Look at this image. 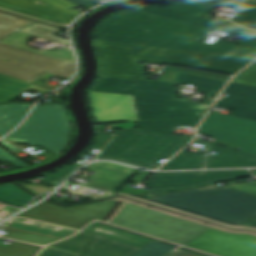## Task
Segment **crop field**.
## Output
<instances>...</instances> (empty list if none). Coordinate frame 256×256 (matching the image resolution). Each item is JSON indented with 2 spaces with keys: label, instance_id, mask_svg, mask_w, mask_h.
Listing matches in <instances>:
<instances>
[{
  "label": "crop field",
  "instance_id": "8a807250",
  "mask_svg": "<svg viewBox=\"0 0 256 256\" xmlns=\"http://www.w3.org/2000/svg\"><path fill=\"white\" fill-rule=\"evenodd\" d=\"M209 28L187 24L139 11L116 14L95 30L96 40L256 58V41L243 38L237 45L215 41L200 42Z\"/></svg>",
  "mask_w": 256,
  "mask_h": 256
},
{
  "label": "crop field",
  "instance_id": "ac0d7876",
  "mask_svg": "<svg viewBox=\"0 0 256 256\" xmlns=\"http://www.w3.org/2000/svg\"><path fill=\"white\" fill-rule=\"evenodd\" d=\"M175 84L102 77L90 91L133 95L139 120L204 116L209 106L173 100Z\"/></svg>",
  "mask_w": 256,
  "mask_h": 256
},
{
  "label": "crop field",
  "instance_id": "34b2d1b8",
  "mask_svg": "<svg viewBox=\"0 0 256 256\" xmlns=\"http://www.w3.org/2000/svg\"><path fill=\"white\" fill-rule=\"evenodd\" d=\"M148 199L232 224L256 216V196L225 186L212 185Z\"/></svg>",
  "mask_w": 256,
  "mask_h": 256
},
{
  "label": "crop field",
  "instance_id": "412701ff",
  "mask_svg": "<svg viewBox=\"0 0 256 256\" xmlns=\"http://www.w3.org/2000/svg\"><path fill=\"white\" fill-rule=\"evenodd\" d=\"M192 138L141 132L128 129L116 134L114 140L99 154L98 158L121 161L156 168L161 158H169L190 142Z\"/></svg>",
  "mask_w": 256,
  "mask_h": 256
},
{
  "label": "crop field",
  "instance_id": "f4fd0767",
  "mask_svg": "<svg viewBox=\"0 0 256 256\" xmlns=\"http://www.w3.org/2000/svg\"><path fill=\"white\" fill-rule=\"evenodd\" d=\"M220 5L229 6L236 10L237 16L233 18L232 21L239 25L256 29V2L251 0H211L204 3H185L139 8L136 10L221 31L256 38V31L244 29L227 20L219 23L201 18L208 11Z\"/></svg>",
  "mask_w": 256,
  "mask_h": 256
},
{
  "label": "crop field",
  "instance_id": "dd49c442",
  "mask_svg": "<svg viewBox=\"0 0 256 256\" xmlns=\"http://www.w3.org/2000/svg\"><path fill=\"white\" fill-rule=\"evenodd\" d=\"M110 223L154 235L182 245L210 228L129 203L123 207Z\"/></svg>",
  "mask_w": 256,
  "mask_h": 256
},
{
  "label": "crop field",
  "instance_id": "e52e79f7",
  "mask_svg": "<svg viewBox=\"0 0 256 256\" xmlns=\"http://www.w3.org/2000/svg\"><path fill=\"white\" fill-rule=\"evenodd\" d=\"M70 123L63 106L35 107L30 118L5 138L25 145H41L60 153L67 145Z\"/></svg>",
  "mask_w": 256,
  "mask_h": 256
},
{
  "label": "crop field",
  "instance_id": "d8731c3e",
  "mask_svg": "<svg viewBox=\"0 0 256 256\" xmlns=\"http://www.w3.org/2000/svg\"><path fill=\"white\" fill-rule=\"evenodd\" d=\"M75 64L0 44V74L34 82L49 73L71 78Z\"/></svg>",
  "mask_w": 256,
  "mask_h": 256
},
{
  "label": "crop field",
  "instance_id": "5a996713",
  "mask_svg": "<svg viewBox=\"0 0 256 256\" xmlns=\"http://www.w3.org/2000/svg\"><path fill=\"white\" fill-rule=\"evenodd\" d=\"M101 58L174 65L179 57L246 66L253 60L96 41Z\"/></svg>",
  "mask_w": 256,
  "mask_h": 256
},
{
  "label": "crop field",
  "instance_id": "3316defc",
  "mask_svg": "<svg viewBox=\"0 0 256 256\" xmlns=\"http://www.w3.org/2000/svg\"><path fill=\"white\" fill-rule=\"evenodd\" d=\"M116 201L113 199L70 208L43 202L20 216L80 230L93 219L102 221Z\"/></svg>",
  "mask_w": 256,
  "mask_h": 256
},
{
  "label": "crop field",
  "instance_id": "28ad6ade",
  "mask_svg": "<svg viewBox=\"0 0 256 256\" xmlns=\"http://www.w3.org/2000/svg\"><path fill=\"white\" fill-rule=\"evenodd\" d=\"M198 133L241 146L240 152L256 156V121L210 112Z\"/></svg>",
  "mask_w": 256,
  "mask_h": 256
},
{
  "label": "crop field",
  "instance_id": "d1516ede",
  "mask_svg": "<svg viewBox=\"0 0 256 256\" xmlns=\"http://www.w3.org/2000/svg\"><path fill=\"white\" fill-rule=\"evenodd\" d=\"M248 170L155 173L147 182L148 196L250 177Z\"/></svg>",
  "mask_w": 256,
  "mask_h": 256
},
{
  "label": "crop field",
  "instance_id": "22f410ed",
  "mask_svg": "<svg viewBox=\"0 0 256 256\" xmlns=\"http://www.w3.org/2000/svg\"><path fill=\"white\" fill-rule=\"evenodd\" d=\"M185 246L217 256H256V237L209 229Z\"/></svg>",
  "mask_w": 256,
  "mask_h": 256
},
{
  "label": "crop field",
  "instance_id": "cbeb9de0",
  "mask_svg": "<svg viewBox=\"0 0 256 256\" xmlns=\"http://www.w3.org/2000/svg\"><path fill=\"white\" fill-rule=\"evenodd\" d=\"M97 124L138 121L132 96L89 92Z\"/></svg>",
  "mask_w": 256,
  "mask_h": 256
},
{
  "label": "crop field",
  "instance_id": "5142ce71",
  "mask_svg": "<svg viewBox=\"0 0 256 256\" xmlns=\"http://www.w3.org/2000/svg\"><path fill=\"white\" fill-rule=\"evenodd\" d=\"M41 0H0V8L37 17L46 21L70 24L77 15L47 4Z\"/></svg>",
  "mask_w": 256,
  "mask_h": 256
},
{
  "label": "crop field",
  "instance_id": "d9b57169",
  "mask_svg": "<svg viewBox=\"0 0 256 256\" xmlns=\"http://www.w3.org/2000/svg\"><path fill=\"white\" fill-rule=\"evenodd\" d=\"M223 93L230 96L218 100L216 107L235 110L233 115L256 120V88L230 83Z\"/></svg>",
  "mask_w": 256,
  "mask_h": 256
},
{
  "label": "crop field",
  "instance_id": "733c2abd",
  "mask_svg": "<svg viewBox=\"0 0 256 256\" xmlns=\"http://www.w3.org/2000/svg\"><path fill=\"white\" fill-rule=\"evenodd\" d=\"M194 142L206 145L205 148L207 149L217 151L216 155L207 156L206 168L256 166V158L240 154L228 148L219 147L198 138Z\"/></svg>",
  "mask_w": 256,
  "mask_h": 256
},
{
  "label": "crop field",
  "instance_id": "4a817a6b",
  "mask_svg": "<svg viewBox=\"0 0 256 256\" xmlns=\"http://www.w3.org/2000/svg\"><path fill=\"white\" fill-rule=\"evenodd\" d=\"M87 169L98 171L93 177L89 179L90 181L118 187H121L128 178L139 171L138 169L109 162L92 164L89 165Z\"/></svg>",
  "mask_w": 256,
  "mask_h": 256
},
{
  "label": "crop field",
  "instance_id": "bc2a9ffb",
  "mask_svg": "<svg viewBox=\"0 0 256 256\" xmlns=\"http://www.w3.org/2000/svg\"><path fill=\"white\" fill-rule=\"evenodd\" d=\"M100 76L146 80L144 64L100 59Z\"/></svg>",
  "mask_w": 256,
  "mask_h": 256
},
{
  "label": "crop field",
  "instance_id": "214f88e0",
  "mask_svg": "<svg viewBox=\"0 0 256 256\" xmlns=\"http://www.w3.org/2000/svg\"><path fill=\"white\" fill-rule=\"evenodd\" d=\"M137 248L95 236L85 256H131Z\"/></svg>",
  "mask_w": 256,
  "mask_h": 256
},
{
  "label": "crop field",
  "instance_id": "92a150f3",
  "mask_svg": "<svg viewBox=\"0 0 256 256\" xmlns=\"http://www.w3.org/2000/svg\"><path fill=\"white\" fill-rule=\"evenodd\" d=\"M202 117L140 121L142 131L173 134L181 126L197 127Z\"/></svg>",
  "mask_w": 256,
  "mask_h": 256
},
{
  "label": "crop field",
  "instance_id": "dafd665d",
  "mask_svg": "<svg viewBox=\"0 0 256 256\" xmlns=\"http://www.w3.org/2000/svg\"><path fill=\"white\" fill-rule=\"evenodd\" d=\"M28 89H34L46 94L51 92V90L0 75V103L16 100L21 91Z\"/></svg>",
  "mask_w": 256,
  "mask_h": 256
},
{
  "label": "crop field",
  "instance_id": "00972430",
  "mask_svg": "<svg viewBox=\"0 0 256 256\" xmlns=\"http://www.w3.org/2000/svg\"><path fill=\"white\" fill-rule=\"evenodd\" d=\"M29 106L19 103L0 106V137L13 129L25 117Z\"/></svg>",
  "mask_w": 256,
  "mask_h": 256
},
{
  "label": "crop field",
  "instance_id": "a9b5d70f",
  "mask_svg": "<svg viewBox=\"0 0 256 256\" xmlns=\"http://www.w3.org/2000/svg\"><path fill=\"white\" fill-rule=\"evenodd\" d=\"M109 231L111 233H108ZM91 232L96 233V235L98 236L105 237L137 248L145 246L152 240L103 225L99 226Z\"/></svg>",
  "mask_w": 256,
  "mask_h": 256
},
{
  "label": "crop field",
  "instance_id": "4177f3b9",
  "mask_svg": "<svg viewBox=\"0 0 256 256\" xmlns=\"http://www.w3.org/2000/svg\"><path fill=\"white\" fill-rule=\"evenodd\" d=\"M175 65L207 70L212 72H218V73H224V74H230V75H234L240 69L244 68L242 66H235V65H228V64L179 58V57H175Z\"/></svg>",
  "mask_w": 256,
  "mask_h": 256
},
{
  "label": "crop field",
  "instance_id": "730fd06b",
  "mask_svg": "<svg viewBox=\"0 0 256 256\" xmlns=\"http://www.w3.org/2000/svg\"><path fill=\"white\" fill-rule=\"evenodd\" d=\"M178 83L190 84L198 88V90L208 92L207 97L215 98L217 93L226 83L225 81H219L214 79H208L198 76H192L187 74H181L176 72Z\"/></svg>",
  "mask_w": 256,
  "mask_h": 256
},
{
  "label": "crop field",
  "instance_id": "eef30255",
  "mask_svg": "<svg viewBox=\"0 0 256 256\" xmlns=\"http://www.w3.org/2000/svg\"><path fill=\"white\" fill-rule=\"evenodd\" d=\"M93 237L94 235L81 231L78 235L72 238L47 247L70 253L75 256H82L85 253L87 244L91 242Z\"/></svg>",
  "mask_w": 256,
  "mask_h": 256
},
{
  "label": "crop field",
  "instance_id": "ae1a2a85",
  "mask_svg": "<svg viewBox=\"0 0 256 256\" xmlns=\"http://www.w3.org/2000/svg\"><path fill=\"white\" fill-rule=\"evenodd\" d=\"M31 37V35H27L24 33H16L9 38L1 41L0 43L8 44L11 46L19 47L22 49L30 50L33 52L41 53L44 55L52 56L55 58L63 59L66 61L74 62L73 54L72 51L68 48H66L64 51H56V52H51V51H41V50H36L29 48L26 44L27 39ZM75 63V62H74Z\"/></svg>",
  "mask_w": 256,
  "mask_h": 256
},
{
  "label": "crop field",
  "instance_id": "d3111659",
  "mask_svg": "<svg viewBox=\"0 0 256 256\" xmlns=\"http://www.w3.org/2000/svg\"><path fill=\"white\" fill-rule=\"evenodd\" d=\"M203 159V154L182 151L160 170L202 169Z\"/></svg>",
  "mask_w": 256,
  "mask_h": 256
},
{
  "label": "crop field",
  "instance_id": "750c4746",
  "mask_svg": "<svg viewBox=\"0 0 256 256\" xmlns=\"http://www.w3.org/2000/svg\"><path fill=\"white\" fill-rule=\"evenodd\" d=\"M32 197L25 194L13 185H5L0 187V201L15 206L22 207L30 203Z\"/></svg>",
  "mask_w": 256,
  "mask_h": 256
},
{
  "label": "crop field",
  "instance_id": "bd1437ed",
  "mask_svg": "<svg viewBox=\"0 0 256 256\" xmlns=\"http://www.w3.org/2000/svg\"><path fill=\"white\" fill-rule=\"evenodd\" d=\"M58 30H59V28L35 23V24L21 30L20 32H24L27 34H31V35H34L37 37H41V38H44V39H47L50 41H54V42L69 46L70 44L67 39L60 38V37L53 35Z\"/></svg>",
  "mask_w": 256,
  "mask_h": 256
},
{
  "label": "crop field",
  "instance_id": "1d83c4d3",
  "mask_svg": "<svg viewBox=\"0 0 256 256\" xmlns=\"http://www.w3.org/2000/svg\"><path fill=\"white\" fill-rule=\"evenodd\" d=\"M32 22L33 21L0 13V40Z\"/></svg>",
  "mask_w": 256,
  "mask_h": 256
},
{
  "label": "crop field",
  "instance_id": "120bbe31",
  "mask_svg": "<svg viewBox=\"0 0 256 256\" xmlns=\"http://www.w3.org/2000/svg\"><path fill=\"white\" fill-rule=\"evenodd\" d=\"M42 247L13 241L8 248L0 247V256H36Z\"/></svg>",
  "mask_w": 256,
  "mask_h": 256
},
{
  "label": "crop field",
  "instance_id": "d32e631a",
  "mask_svg": "<svg viewBox=\"0 0 256 256\" xmlns=\"http://www.w3.org/2000/svg\"><path fill=\"white\" fill-rule=\"evenodd\" d=\"M6 232L8 233L4 235V237L18 239V240H25V241H29V242H33L41 245H48L52 242L60 240V239H55L51 237H46V236L37 235V234L28 233V232L19 231V230L10 229V228H7Z\"/></svg>",
  "mask_w": 256,
  "mask_h": 256
},
{
  "label": "crop field",
  "instance_id": "5866460e",
  "mask_svg": "<svg viewBox=\"0 0 256 256\" xmlns=\"http://www.w3.org/2000/svg\"><path fill=\"white\" fill-rule=\"evenodd\" d=\"M174 248L176 247L153 240L145 247L135 252L132 256H165Z\"/></svg>",
  "mask_w": 256,
  "mask_h": 256
},
{
  "label": "crop field",
  "instance_id": "028f5c9d",
  "mask_svg": "<svg viewBox=\"0 0 256 256\" xmlns=\"http://www.w3.org/2000/svg\"><path fill=\"white\" fill-rule=\"evenodd\" d=\"M181 72V73H187L192 75H198L208 78H214L219 80H225L228 81L230 77L227 76H221V75H215V74H209V73H203V72H197V71H191V70H185V69H179V68H173V67H166L164 73L166 75L159 78L158 81H168V82H177L175 72Z\"/></svg>",
  "mask_w": 256,
  "mask_h": 256
},
{
  "label": "crop field",
  "instance_id": "e1f06a70",
  "mask_svg": "<svg viewBox=\"0 0 256 256\" xmlns=\"http://www.w3.org/2000/svg\"><path fill=\"white\" fill-rule=\"evenodd\" d=\"M2 226L11 227V228L24 230V231H28V232H33V233H37V234H42V235H46V236L56 237V238H60V239L71 236L70 234L52 231V230L39 228V227H35V226H30V225H26V224H21V223H17V222H11V223L5 222L2 224Z\"/></svg>",
  "mask_w": 256,
  "mask_h": 256
},
{
  "label": "crop field",
  "instance_id": "0bd39190",
  "mask_svg": "<svg viewBox=\"0 0 256 256\" xmlns=\"http://www.w3.org/2000/svg\"><path fill=\"white\" fill-rule=\"evenodd\" d=\"M231 82L256 87V62L247 67L241 74L232 79Z\"/></svg>",
  "mask_w": 256,
  "mask_h": 256
},
{
  "label": "crop field",
  "instance_id": "b80d0937",
  "mask_svg": "<svg viewBox=\"0 0 256 256\" xmlns=\"http://www.w3.org/2000/svg\"><path fill=\"white\" fill-rule=\"evenodd\" d=\"M79 165H81V164L76 163V164H74L66 169H63L57 173L44 176L45 180H47V181L44 182L43 184L54 187Z\"/></svg>",
  "mask_w": 256,
  "mask_h": 256
},
{
  "label": "crop field",
  "instance_id": "c035e120",
  "mask_svg": "<svg viewBox=\"0 0 256 256\" xmlns=\"http://www.w3.org/2000/svg\"><path fill=\"white\" fill-rule=\"evenodd\" d=\"M43 1H45V2H47V3H50V4H52V5H55V6H57V7H60V8H62V9H65V10H67V11H70V12H72V13H75V14H77V15H79V14L81 13V12H79V11H76V10L72 9V8L75 7L76 5L70 3V2H68V1H66V0H43Z\"/></svg>",
  "mask_w": 256,
  "mask_h": 256
},
{
  "label": "crop field",
  "instance_id": "c21b1889",
  "mask_svg": "<svg viewBox=\"0 0 256 256\" xmlns=\"http://www.w3.org/2000/svg\"><path fill=\"white\" fill-rule=\"evenodd\" d=\"M0 158H2L3 160L9 162L10 164L16 167L27 166L25 163L18 160L17 158H15L14 156H12L11 154H9L8 152H6L1 148H0Z\"/></svg>",
  "mask_w": 256,
  "mask_h": 256
},
{
  "label": "crop field",
  "instance_id": "03da06ac",
  "mask_svg": "<svg viewBox=\"0 0 256 256\" xmlns=\"http://www.w3.org/2000/svg\"><path fill=\"white\" fill-rule=\"evenodd\" d=\"M241 191L256 195V182L232 186Z\"/></svg>",
  "mask_w": 256,
  "mask_h": 256
},
{
  "label": "crop field",
  "instance_id": "b54c1fbb",
  "mask_svg": "<svg viewBox=\"0 0 256 256\" xmlns=\"http://www.w3.org/2000/svg\"><path fill=\"white\" fill-rule=\"evenodd\" d=\"M113 137L111 134H99L98 141L94 146V149L101 150Z\"/></svg>",
  "mask_w": 256,
  "mask_h": 256
},
{
  "label": "crop field",
  "instance_id": "5d738f31",
  "mask_svg": "<svg viewBox=\"0 0 256 256\" xmlns=\"http://www.w3.org/2000/svg\"><path fill=\"white\" fill-rule=\"evenodd\" d=\"M167 256H202V255H198L189 251H185L179 248H176L175 250H173L171 253H169Z\"/></svg>",
  "mask_w": 256,
  "mask_h": 256
},
{
  "label": "crop field",
  "instance_id": "d23c7cc5",
  "mask_svg": "<svg viewBox=\"0 0 256 256\" xmlns=\"http://www.w3.org/2000/svg\"><path fill=\"white\" fill-rule=\"evenodd\" d=\"M39 256H73L56 250L45 248Z\"/></svg>",
  "mask_w": 256,
  "mask_h": 256
},
{
  "label": "crop field",
  "instance_id": "425ffa30",
  "mask_svg": "<svg viewBox=\"0 0 256 256\" xmlns=\"http://www.w3.org/2000/svg\"><path fill=\"white\" fill-rule=\"evenodd\" d=\"M76 5H79L81 7H84L86 9H89L93 6H95L94 4H92L91 2L87 1V0H68Z\"/></svg>",
  "mask_w": 256,
  "mask_h": 256
},
{
  "label": "crop field",
  "instance_id": "25e5ab78",
  "mask_svg": "<svg viewBox=\"0 0 256 256\" xmlns=\"http://www.w3.org/2000/svg\"><path fill=\"white\" fill-rule=\"evenodd\" d=\"M27 187H29L30 189H32L33 191H35L38 194L50 190V189H48L46 187H42V186H38V185H32V186H27Z\"/></svg>",
  "mask_w": 256,
  "mask_h": 256
},
{
  "label": "crop field",
  "instance_id": "73cf0c24",
  "mask_svg": "<svg viewBox=\"0 0 256 256\" xmlns=\"http://www.w3.org/2000/svg\"><path fill=\"white\" fill-rule=\"evenodd\" d=\"M238 226H247V227H256V217L247 220L241 224H239Z\"/></svg>",
  "mask_w": 256,
  "mask_h": 256
},
{
  "label": "crop field",
  "instance_id": "89e229c0",
  "mask_svg": "<svg viewBox=\"0 0 256 256\" xmlns=\"http://www.w3.org/2000/svg\"><path fill=\"white\" fill-rule=\"evenodd\" d=\"M0 144H2V145H4L5 147H7V148H9V149H11V150H14V151H22V150H20L19 148H17L16 146H14V145H12V144H10V143L4 141V140L1 141Z\"/></svg>",
  "mask_w": 256,
  "mask_h": 256
},
{
  "label": "crop field",
  "instance_id": "1f2cbd36",
  "mask_svg": "<svg viewBox=\"0 0 256 256\" xmlns=\"http://www.w3.org/2000/svg\"><path fill=\"white\" fill-rule=\"evenodd\" d=\"M98 224H100V222H94L93 224H91L90 226H88L87 228H85L83 231L88 232V231L91 230L92 228L96 227Z\"/></svg>",
  "mask_w": 256,
  "mask_h": 256
},
{
  "label": "crop field",
  "instance_id": "dbb93151",
  "mask_svg": "<svg viewBox=\"0 0 256 256\" xmlns=\"http://www.w3.org/2000/svg\"><path fill=\"white\" fill-rule=\"evenodd\" d=\"M256 175V170H251Z\"/></svg>",
  "mask_w": 256,
  "mask_h": 256
},
{
  "label": "crop field",
  "instance_id": "0fb4a251",
  "mask_svg": "<svg viewBox=\"0 0 256 256\" xmlns=\"http://www.w3.org/2000/svg\"><path fill=\"white\" fill-rule=\"evenodd\" d=\"M243 228H246V227H243ZM248 229H254V230H256V228H248Z\"/></svg>",
  "mask_w": 256,
  "mask_h": 256
},
{
  "label": "crop field",
  "instance_id": "1d79db26",
  "mask_svg": "<svg viewBox=\"0 0 256 256\" xmlns=\"http://www.w3.org/2000/svg\"><path fill=\"white\" fill-rule=\"evenodd\" d=\"M254 1H256V0H254Z\"/></svg>",
  "mask_w": 256,
  "mask_h": 256
}]
</instances>
